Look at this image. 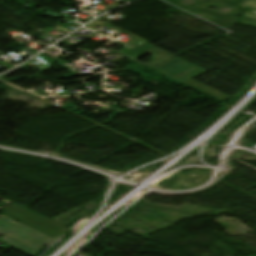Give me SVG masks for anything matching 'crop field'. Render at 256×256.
<instances>
[{
  "instance_id": "4",
  "label": "crop field",
  "mask_w": 256,
  "mask_h": 256,
  "mask_svg": "<svg viewBox=\"0 0 256 256\" xmlns=\"http://www.w3.org/2000/svg\"><path fill=\"white\" fill-rule=\"evenodd\" d=\"M0 66H1V67H3V68H5V69H8V70H10V69H12V68H14V67H15V66H14V67H12V66L8 65V64H7V63H5V62H4V63H1V64H0Z\"/></svg>"
},
{
  "instance_id": "5",
  "label": "crop field",
  "mask_w": 256,
  "mask_h": 256,
  "mask_svg": "<svg viewBox=\"0 0 256 256\" xmlns=\"http://www.w3.org/2000/svg\"><path fill=\"white\" fill-rule=\"evenodd\" d=\"M1 54V53H0Z\"/></svg>"
},
{
  "instance_id": "3",
  "label": "crop field",
  "mask_w": 256,
  "mask_h": 256,
  "mask_svg": "<svg viewBox=\"0 0 256 256\" xmlns=\"http://www.w3.org/2000/svg\"><path fill=\"white\" fill-rule=\"evenodd\" d=\"M0 211L4 212L3 215L53 238H55L64 229V227L14 204L1 208Z\"/></svg>"
},
{
  "instance_id": "2",
  "label": "crop field",
  "mask_w": 256,
  "mask_h": 256,
  "mask_svg": "<svg viewBox=\"0 0 256 256\" xmlns=\"http://www.w3.org/2000/svg\"><path fill=\"white\" fill-rule=\"evenodd\" d=\"M0 234H6L0 240L30 255H35L42 244L49 246L56 241L24 225L13 223L4 216L0 217Z\"/></svg>"
},
{
  "instance_id": "1",
  "label": "crop field",
  "mask_w": 256,
  "mask_h": 256,
  "mask_svg": "<svg viewBox=\"0 0 256 256\" xmlns=\"http://www.w3.org/2000/svg\"><path fill=\"white\" fill-rule=\"evenodd\" d=\"M125 54H127L128 56H130L131 58L137 60L139 59L141 56H143L146 53H150L153 55V59L146 63V65L148 66H152L162 60H165L173 55L164 52L158 48H155L147 43H144L140 46H137L131 50H128L126 52H124ZM162 73H165L177 80H180L184 83H187L189 85H192L222 101H225L231 97L216 91L206 85H203L193 79H191L192 77L206 71L198 66H195L177 56H174L154 67H152Z\"/></svg>"
}]
</instances>
